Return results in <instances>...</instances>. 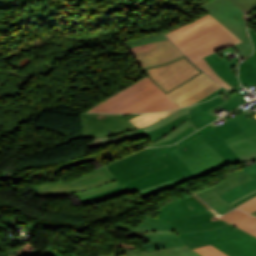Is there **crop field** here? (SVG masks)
I'll return each mask as SVG.
<instances>
[{
    "label": "crop field",
    "instance_id": "8a807250",
    "mask_svg": "<svg viewBox=\"0 0 256 256\" xmlns=\"http://www.w3.org/2000/svg\"><path fill=\"white\" fill-rule=\"evenodd\" d=\"M166 35L207 75L225 88H231L202 58L241 42L217 20L207 14Z\"/></svg>",
    "mask_w": 256,
    "mask_h": 256
},
{
    "label": "crop field",
    "instance_id": "ac0d7876",
    "mask_svg": "<svg viewBox=\"0 0 256 256\" xmlns=\"http://www.w3.org/2000/svg\"><path fill=\"white\" fill-rule=\"evenodd\" d=\"M172 108L177 106L159 87L145 77L87 112L140 113Z\"/></svg>",
    "mask_w": 256,
    "mask_h": 256
},
{
    "label": "crop field",
    "instance_id": "34b2d1b8",
    "mask_svg": "<svg viewBox=\"0 0 256 256\" xmlns=\"http://www.w3.org/2000/svg\"><path fill=\"white\" fill-rule=\"evenodd\" d=\"M113 180L116 179L112 176V174L109 171L106 170L105 167H102L73 181L63 182L62 180L55 183L36 185L33 187L38 197H63L76 195V197L79 199L119 187L121 186V184L118 181H116L114 183L94 189L92 191L78 194H73L72 191H79L92 188Z\"/></svg>",
    "mask_w": 256,
    "mask_h": 256
},
{
    "label": "crop field",
    "instance_id": "412701ff",
    "mask_svg": "<svg viewBox=\"0 0 256 256\" xmlns=\"http://www.w3.org/2000/svg\"><path fill=\"white\" fill-rule=\"evenodd\" d=\"M173 151L190 167L197 178L230 166L200 136Z\"/></svg>",
    "mask_w": 256,
    "mask_h": 256
},
{
    "label": "crop field",
    "instance_id": "f4fd0767",
    "mask_svg": "<svg viewBox=\"0 0 256 256\" xmlns=\"http://www.w3.org/2000/svg\"><path fill=\"white\" fill-rule=\"evenodd\" d=\"M201 7L243 41L235 45L243 58L252 53L246 31L247 17L230 0H209Z\"/></svg>",
    "mask_w": 256,
    "mask_h": 256
},
{
    "label": "crop field",
    "instance_id": "dd49c442",
    "mask_svg": "<svg viewBox=\"0 0 256 256\" xmlns=\"http://www.w3.org/2000/svg\"><path fill=\"white\" fill-rule=\"evenodd\" d=\"M147 77L166 94L203 72L185 56L172 62L143 69Z\"/></svg>",
    "mask_w": 256,
    "mask_h": 256
},
{
    "label": "crop field",
    "instance_id": "e52e79f7",
    "mask_svg": "<svg viewBox=\"0 0 256 256\" xmlns=\"http://www.w3.org/2000/svg\"><path fill=\"white\" fill-rule=\"evenodd\" d=\"M113 227L127 231H146V244L140 245L145 252L154 251L161 248L185 246L170 223L161 218H152L146 216L136 227L120 224Z\"/></svg>",
    "mask_w": 256,
    "mask_h": 256
},
{
    "label": "crop field",
    "instance_id": "d8731c3e",
    "mask_svg": "<svg viewBox=\"0 0 256 256\" xmlns=\"http://www.w3.org/2000/svg\"><path fill=\"white\" fill-rule=\"evenodd\" d=\"M165 147L145 149L135 155L112 163L107 168L122 183H127L148 173L156 171L165 165L153 154Z\"/></svg>",
    "mask_w": 256,
    "mask_h": 256
},
{
    "label": "crop field",
    "instance_id": "5a996713",
    "mask_svg": "<svg viewBox=\"0 0 256 256\" xmlns=\"http://www.w3.org/2000/svg\"><path fill=\"white\" fill-rule=\"evenodd\" d=\"M84 138L103 137L135 128L121 115L82 113Z\"/></svg>",
    "mask_w": 256,
    "mask_h": 256
},
{
    "label": "crop field",
    "instance_id": "3316defc",
    "mask_svg": "<svg viewBox=\"0 0 256 256\" xmlns=\"http://www.w3.org/2000/svg\"><path fill=\"white\" fill-rule=\"evenodd\" d=\"M141 68L172 61L184 54L169 40L129 48Z\"/></svg>",
    "mask_w": 256,
    "mask_h": 256
},
{
    "label": "crop field",
    "instance_id": "28ad6ade",
    "mask_svg": "<svg viewBox=\"0 0 256 256\" xmlns=\"http://www.w3.org/2000/svg\"><path fill=\"white\" fill-rule=\"evenodd\" d=\"M159 159L167 166L156 172L124 184L125 189L132 193L149 186L162 184L166 181L186 175L166 154Z\"/></svg>",
    "mask_w": 256,
    "mask_h": 256
},
{
    "label": "crop field",
    "instance_id": "d1516ede",
    "mask_svg": "<svg viewBox=\"0 0 256 256\" xmlns=\"http://www.w3.org/2000/svg\"><path fill=\"white\" fill-rule=\"evenodd\" d=\"M230 178L224 180L223 182L198 193L208 204H210L216 211L221 215L236 208L226 201L222 200L218 196L225 192L226 190L233 188L249 179H252L246 172L237 175L229 176Z\"/></svg>",
    "mask_w": 256,
    "mask_h": 256
},
{
    "label": "crop field",
    "instance_id": "22f410ed",
    "mask_svg": "<svg viewBox=\"0 0 256 256\" xmlns=\"http://www.w3.org/2000/svg\"><path fill=\"white\" fill-rule=\"evenodd\" d=\"M247 234L248 233L228 224L211 231L179 234V236L186 246L192 249Z\"/></svg>",
    "mask_w": 256,
    "mask_h": 256
},
{
    "label": "crop field",
    "instance_id": "cbeb9de0",
    "mask_svg": "<svg viewBox=\"0 0 256 256\" xmlns=\"http://www.w3.org/2000/svg\"><path fill=\"white\" fill-rule=\"evenodd\" d=\"M170 223L178 233L202 232L228 224L215 218L208 210L186 218L170 221Z\"/></svg>",
    "mask_w": 256,
    "mask_h": 256
},
{
    "label": "crop field",
    "instance_id": "5142ce71",
    "mask_svg": "<svg viewBox=\"0 0 256 256\" xmlns=\"http://www.w3.org/2000/svg\"><path fill=\"white\" fill-rule=\"evenodd\" d=\"M200 202H198L191 195L184 197L183 199L179 198L173 202L164 204L161 208L157 209L155 212L161 213L160 216L167 221L189 216L197 212L206 210Z\"/></svg>",
    "mask_w": 256,
    "mask_h": 256
},
{
    "label": "crop field",
    "instance_id": "d9b57169",
    "mask_svg": "<svg viewBox=\"0 0 256 256\" xmlns=\"http://www.w3.org/2000/svg\"><path fill=\"white\" fill-rule=\"evenodd\" d=\"M215 124H210L199 131L191 134L187 138L180 141L179 146L188 142L189 140L201 136L206 142H208L220 155H222L230 164L241 162V160L232 152L227 146L228 144L220 137V135L213 128Z\"/></svg>",
    "mask_w": 256,
    "mask_h": 256
},
{
    "label": "crop field",
    "instance_id": "733c2abd",
    "mask_svg": "<svg viewBox=\"0 0 256 256\" xmlns=\"http://www.w3.org/2000/svg\"><path fill=\"white\" fill-rule=\"evenodd\" d=\"M229 256H256V238L248 235L212 244Z\"/></svg>",
    "mask_w": 256,
    "mask_h": 256
},
{
    "label": "crop field",
    "instance_id": "4a817a6b",
    "mask_svg": "<svg viewBox=\"0 0 256 256\" xmlns=\"http://www.w3.org/2000/svg\"><path fill=\"white\" fill-rule=\"evenodd\" d=\"M179 147L177 144L172 145L162 151L155 153L158 157L164 153H166L187 175L183 178H178L169 182H166L162 185L153 186L150 188H146L143 190L138 191L141 197L149 196L151 194H155L157 192L166 190L167 188L174 187L179 185L187 180L195 179L193 172L188 168V166L172 151L173 149Z\"/></svg>",
    "mask_w": 256,
    "mask_h": 256
},
{
    "label": "crop field",
    "instance_id": "bc2a9ffb",
    "mask_svg": "<svg viewBox=\"0 0 256 256\" xmlns=\"http://www.w3.org/2000/svg\"><path fill=\"white\" fill-rule=\"evenodd\" d=\"M226 103L221 97L214 98L210 101L204 102L193 109L189 110L191 113L189 114L192 120L196 123V125L200 128L216 119L217 116L213 115V111L216 108L220 107Z\"/></svg>",
    "mask_w": 256,
    "mask_h": 256
},
{
    "label": "crop field",
    "instance_id": "214f88e0",
    "mask_svg": "<svg viewBox=\"0 0 256 256\" xmlns=\"http://www.w3.org/2000/svg\"><path fill=\"white\" fill-rule=\"evenodd\" d=\"M215 82L213 79L209 78L204 72L195 77L193 80L183 85L182 87L172 91L167 94L171 100L175 103L182 99H185L198 91L206 88L210 84Z\"/></svg>",
    "mask_w": 256,
    "mask_h": 256
},
{
    "label": "crop field",
    "instance_id": "92a150f3",
    "mask_svg": "<svg viewBox=\"0 0 256 256\" xmlns=\"http://www.w3.org/2000/svg\"><path fill=\"white\" fill-rule=\"evenodd\" d=\"M219 219L250 233L256 237V217L245 214L237 209L219 217Z\"/></svg>",
    "mask_w": 256,
    "mask_h": 256
},
{
    "label": "crop field",
    "instance_id": "dafd665d",
    "mask_svg": "<svg viewBox=\"0 0 256 256\" xmlns=\"http://www.w3.org/2000/svg\"><path fill=\"white\" fill-rule=\"evenodd\" d=\"M210 67L226 82L232 86L239 85L238 79L234 76L231 70L225 65V63L215 54L204 57ZM231 86V87H232Z\"/></svg>",
    "mask_w": 256,
    "mask_h": 256
},
{
    "label": "crop field",
    "instance_id": "00972430",
    "mask_svg": "<svg viewBox=\"0 0 256 256\" xmlns=\"http://www.w3.org/2000/svg\"><path fill=\"white\" fill-rule=\"evenodd\" d=\"M228 146L243 162L252 158L256 161V136L243 139Z\"/></svg>",
    "mask_w": 256,
    "mask_h": 256
},
{
    "label": "crop field",
    "instance_id": "a9b5d70f",
    "mask_svg": "<svg viewBox=\"0 0 256 256\" xmlns=\"http://www.w3.org/2000/svg\"><path fill=\"white\" fill-rule=\"evenodd\" d=\"M125 256H199L187 247L162 249L154 252L143 253L139 250L124 249Z\"/></svg>",
    "mask_w": 256,
    "mask_h": 256
},
{
    "label": "crop field",
    "instance_id": "4177f3b9",
    "mask_svg": "<svg viewBox=\"0 0 256 256\" xmlns=\"http://www.w3.org/2000/svg\"><path fill=\"white\" fill-rule=\"evenodd\" d=\"M196 130H198V129L188 119L185 122H183L176 130H174L172 133H170L168 136L153 143L151 146L170 145L174 142H177L181 138L195 132Z\"/></svg>",
    "mask_w": 256,
    "mask_h": 256
},
{
    "label": "crop field",
    "instance_id": "730fd06b",
    "mask_svg": "<svg viewBox=\"0 0 256 256\" xmlns=\"http://www.w3.org/2000/svg\"><path fill=\"white\" fill-rule=\"evenodd\" d=\"M237 123L243 128L245 132L235 135L233 137L225 139V141L230 144L239 141L243 138L251 137L256 135V122H251L242 113L233 117Z\"/></svg>",
    "mask_w": 256,
    "mask_h": 256
},
{
    "label": "crop field",
    "instance_id": "eef30255",
    "mask_svg": "<svg viewBox=\"0 0 256 256\" xmlns=\"http://www.w3.org/2000/svg\"><path fill=\"white\" fill-rule=\"evenodd\" d=\"M187 118H191L188 114L185 116H182L170 124L166 126H162L156 130L144 133L145 137L149 140V142L152 144L153 142L157 141L158 139L162 138L163 136H166L169 134L171 131L176 129L184 120ZM191 120V119H190ZM192 121V120H191ZM193 122V121H192ZM194 123V122H193ZM195 125V124H194ZM196 126V125H195ZM197 127V126H196ZM198 128V127H197ZM199 129V128H198Z\"/></svg>",
    "mask_w": 256,
    "mask_h": 256
},
{
    "label": "crop field",
    "instance_id": "ae1a2a85",
    "mask_svg": "<svg viewBox=\"0 0 256 256\" xmlns=\"http://www.w3.org/2000/svg\"><path fill=\"white\" fill-rule=\"evenodd\" d=\"M254 190H256V178L249 180L236 188L226 191L219 197L230 203Z\"/></svg>",
    "mask_w": 256,
    "mask_h": 256
},
{
    "label": "crop field",
    "instance_id": "d3111659",
    "mask_svg": "<svg viewBox=\"0 0 256 256\" xmlns=\"http://www.w3.org/2000/svg\"><path fill=\"white\" fill-rule=\"evenodd\" d=\"M226 123L214 127L223 139L233 136L235 134L243 132L241 127L235 122V120L226 115L222 117Z\"/></svg>",
    "mask_w": 256,
    "mask_h": 256
},
{
    "label": "crop field",
    "instance_id": "750c4746",
    "mask_svg": "<svg viewBox=\"0 0 256 256\" xmlns=\"http://www.w3.org/2000/svg\"><path fill=\"white\" fill-rule=\"evenodd\" d=\"M174 111H176V110L159 112V113L141 114L139 116L129 119V121L139 129L141 127L150 125V124L158 121L159 119L163 118L165 115H167L171 112H174Z\"/></svg>",
    "mask_w": 256,
    "mask_h": 256
},
{
    "label": "crop field",
    "instance_id": "bd1437ed",
    "mask_svg": "<svg viewBox=\"0 0 256 256\" xmlns=\"http://www.w3.org/2000/svg\"><path fill=\"white\" fill-rule=\"evenodd\" d=\"M126 192V190L124 189V187H119L113 190H109L103 193H100L98 195L92 196V197H88V198H84V199H79L83 204H90V203H94V202H98V201H102L108 198H113L115 196H119L120 194Z\"/></svg>",
    "mask_w": 256,
    "mask_h": 256
},
{
    "label": "crop field",
    "instance_id": "1d83c4d3",
    "mask_svg": "<svg viewBox=\"0 0 256 256\" xmlns=\"http://www.w3.org/2000/svg\"><path fill=\"white\" fill-rule=\"evenodd\" d=\"M222 86H220L219 84H217L216 82L213 83L212 85H210L209 87H207L206 89H204L203 91L193 95L192 97L185 99L183 101L177 102L175 103L178 107H182V106H186V105H191L197 101H199L200 99L204 98L205 96H207L208 94L212 93L213 91L217 90L218 88H220Z\"/></svg>",
    "mask_w": 256,
    "mask_h": 256
},
{
    "label": "crop field",
    "instance_id": "120bbe31",
    "mask_svg": "<svg viewBox=\"0 0 256 256\" xmlns=\"http://www.w3.org/2000/svg\"><path fill=\"white\" fill-rule=\"evenodd\" d=\"M239 78L242 85L256 83V72L251 69L244 61L239 64Z\"/></svg>",
    "mask_w": 256,
    "mask_h": 256
},
{
    "label": "crop field",
    "instance_id": "d32e631a",
    "mask_svg": "<svg viewBox=\"0 0 256 256\" xmlns=\"http://www.w3.org/2000/svg\"><path fill=\"white\" fill-rule=\"evenodd\" d=\"M198 105V104H196ZM196 105H193V106H189V107H186V108H183V109H180L166 117H164L162 120L150 125V126H147V127H144L143 129L145 130V132L149 131V130H153V129H156L162 125H165V124H168L170 123L171 121H173L174 119L186 114V113H189V109L193 108L194 106ZM150 132V131H149Z\"/></svg>",
    "mask_w": 256,
    "mask_h": 256
},
{
    "label": "crop field",
    "instance_id": "5866460e",
    "mask_svg": "<svg viewBox=\"0 0 256 256\" xmlns=\"http://www.w3.org/2000/svg\"><path fill=\"white\" fill-rule=\"evenodd\" d=\"M166 38L167 37H165L163 33L159 32V33L143 36L140 38L124 41V44L127 47H131V46H135V45L151 43V42L166 39Z\"/></svg>",
    "mask_w": 256,
    "mask_h": 256
},
{
    "label": "crop field",
    "instance_id": "028f5c9d",
    "mask_svg": "<svg viewBox=\"0 0 256 256\" xmlns=\"http://www.w3.org/2000/svg\"><path fill=\"white\" fill-rule=\"evenodd\" d=\"M194 250L200 253L202 256H227L211 245L195 248Z\"/></svg>",
    "mask_w": 256,
    "mask_h": 256
},
{
    "label": "crop field",
    "instance_id": "e1f06a70",
    "mask_svg": "<svg viewBox=\"0 0 256 256\" xmlns=\"http://www.w3.org/2000/svg\"><path fill=\"white\" fill-rule=\"evenodd\" d=\"M142 133H144V131H143V129H140V130L137 131V132H134V133L125 135V136H123V137H120V138L111 140V142H112L114 145H116V144H118V143H121V142H123V141H126V140H128V139H130L131 142H133V141H136V140L145 138Z\"/></svg>",
    "mask_w": 256,
    "mask_h": 256
},
{
    "label": "crop field",
    "instance_id": "0bd39190",
    "mask_svg": "<svg viewBox=\"0 0 256 256\" xmlns=\"http://www.w3.org/2000/svg\"><path fill=\"white\" fill-rule=\"evenodd\" d=\"M240 7L246 14L256 7V0H231Z\"/></svg>",
    "mask_w": 256,
    "mask_h": 256
},
{
    "label": "crop field",
    "instance_id": "b80d0937",
    "mask_svg": "<svg viewBox=\"0 0 256 256\" xmlns=\"http://www.w3.org/2000/svg\"><path fill=\"white\" fill-rule=\"evenodd\" d=\"M248 32L255 46V52L250 58L245 60V62L256 71V33L253 32L251 28L248 29Z\"/></svg>",
    "mask_w": 256,
    "mask_h": 256
},
{
    "label": "crop field",
    "instance_id": "c035e120",
    "mask_svg": "<svg viewBox=\"0 0 256 256\" xmlns=\"http://www.w3.org/2000/svg\"><path fill=\"white\" fill-rule=\"evenodd\" d=\"M243 211H246L248 213H252L256 210V197L250 199L249 201L237 206Z\"/></svg>",
    "mask_w": 256,
    "mask_h": 256
},
{
    "label": "crop field",
    "instance_id": "c21b1889",
    "mask_svg": "<svg viewBox=\"0 0 256 256\" xmlns=\"http://www.w3.org/2000/svg\"><path fill=\"white\" fill-rule=\"evenodd\" d=\"M247 101L241 96L239 98H237L236 100L232 101L231 103H227L225 105H223L222 107H224L226 110H228L229 112L232 111L233 109L241 106L242 104L246 103Z\"/></svg>",
    "mask_w": 256,
    "mask_h": 256
},
{
    "label": "crop field",
    "instance_id": "03da06ac",
    "mask_svg": "<svg viewBox=\"0 0 256 256\" xmlns=\"http://www.w3.org/2000/svg\"><path fill=\"white\" fill-rule=\"evenodd\" d=\"M244 171H246L253 178H255L256 177V164H253L251 166L245 167L243 169H239V170L233 171V172H231V173H229L227 175L229 176V175L237 174V173L244 172Z\"/></svg>",
    "mask_w": 256,
    "mask_h": 256
},
{
    "label": "crop field",
    "instance_id": "b54c1fbb",
    "mask_svg": "<svg viewBox=\"0 0 256 256\" xmlns=\"http://www.w3.org/2000/svg\"><path fill=\"white\" fill-rule=\"evenodd\" d=\"M254 196H256V191L249 193L248 195H246V196H244V197L238 199L237 201H235V202H233V203H231V204L237 206V205H239V204H241V203H243V202L249 200L250 198H252V197H254Z\"/></svg>",
    "mask_w": 256,
    "mask_h": 256
},
{
    "label": "crop field",
    "instance_id": "5d738f31",
    "mask_svg": "<svg viewBox=\"0 0 256 256\" xmlns=\"http://www.w3.org/2000/svg\"><path fill=\"white\" fill-rule=\"evenodd\" d=\"M224 91H226V90L223 89V88H220V89H218L217 91H215V92H213L212 94H210L209 96H207V97H205L204 99L200 100L199 102L205 101V100H209L210 98H212V97H214V96H217V95H219L220 93H222V92H224Z\"/></svg>",
    "mask_w": 256,
    "mask_h": 256
},
{
    "label": "crop field",
    "instance_id": "d23c7cc5",
    "mask_svg": "<svg viewBox=\"0 0 256 256\" xmlns=\"http://www.w3.org/2000/svg\"><path fill=\"white\" fill-rule=\"evenodd\" d=\"M245 93H247V91H245V92H243V93H240V94H238V95H236V96H234V97H232V98H230V99H228V100H226V101L229 103V102H231L232 100L236 99L237 97H239V96H241V95H243V94H245Z\"/></svg>",
    "mask_w": 256,
    "mask_h": 256
},
{
    "label": "crop field",
    "instance_id": "425ffa30",
    "mask_svg": "<svg viewBox=\"0 0 256 256\" xmlns=\"http://www.w3.org/2000/svg\"><path fill=\"white\" fill-rule=\"evenodd\" d=\"M136 115H138V114H132V115L126 117V118L128 119V118H131V117L136 116Z\"/></svg>",
    "mask_w": 256,
    "mask_h": 256
},
{
    "label": "crop field",
    "instance_id": "25e5ab78",
    "mask_svg": "<svg viewBox=\"0 0 256 256\" xmlns=\"http://www.w3.org/2000/svg\"><path fill=\"white\" fill-rule=\"evenodd\" d=\"M253 214H255V215H256V211H255Z\"/></svg>",
    "mask_w": 256,
    "mask_h": 256
},
{
    "label": "crop field",
    "instance_id": "73cf0c24",
    "mask_svg": "<svg viewBox=\"0 0 256 256\" xmlns=\"http://www.w3.org/2000/svg\"><path fill=\"white\" fill-rule=\"evenodd\" d=\"M100 256V255H99Z\"/></svg>",
    "mask_w": 256,
    "mask_h": 256
},
{
    "label": "crop field",
    "instance_id": "89e229c0",
    "mask_svg": "<svg viewBox=\"0 0 256 256\" xmlns=\"http://www.w3.org/2000/svg\"><path fill=\"white\" fill-rule=\"evenodd\" d=\"M1 248V247H0Z\"/></svg>",
    "mask_w": 256,
    "mask_h": 256
}]
</instances>
